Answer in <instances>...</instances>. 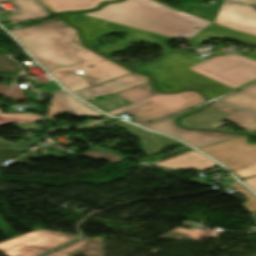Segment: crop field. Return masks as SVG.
Listing matches in <instances>:
<instances>
[{"mask_svg": "<svg viewBox=\"0 0 256 256\" xmlns=\"http://www.w3.org/2000/svg\"><path fill=\"white\" fill-rule=\"evenodd\" d=\"M244 3L256 6V0H245Z\"/></svg>", "mask_w": 256, "mask_h": 256, "instance_id": "d3111659", "label": "crop field"}, {"mask_svg": "<svg viewBox=\"0 0 256 256\" xmlns=\"http://www.w3.org/2000/svg\"><path fill=\"white\" fill-rule=\"evenodd\" d=\"M41 117L32 113L27 114H2L0 108V126L9 123H27V122H38Z\"/></svg>", "mask_w": 256, "mask_h": 256, "instance_id": "dafd665d", "label": "crop field"}, {"mask_svg": "<svg viewBox=\"0 0 256 256\" xmlns=\"http://www.w3.org/2000/svg\"><path fill=\"white\" fill-rule=\"evenodd\" d=\"M201 102L204 99L196 92L162 95L153 92L147 83L89 103L112 115L126 112L134 116L133 122L137 123L170 116Z\"/></svg>", "mask_w": 256, "mask_h": 256, "instance_id": "34b2d1b8", "label": "crop field"}, {"mask_svg": "<svg viewBox=\"0 0 256 256\" xmlns=\"http://www.w3.org/2000/svg\"><path fill=\"white\" fill-rule=\"evenodd\" d=\"M153 165L167 169L189 170L191 168H195L198 171H205L219 166L218 164L211 161L209 158L196 151L189 152L187 154L177 156L168 160H164Z\"/></svg>", "mask_w": 256, "mask_h": 256, "instance_id": "d9b57169", "label": "crop field"}, {"mask_svg": "<svg viewBox=\"0 0 256 256\" xmlns=\"http://www.w3.org/2000/svg\"><path fill=\"white\" fill-rule=\"evenodd\" d=\"M85 15L173 38L183 37L185 39L192 38L210 24L201 18L168 9L154 0H126Z\"/></svg>", "mask_w": 256, "mask_h": 256, "instance_id": "ac0d7876", "label": "crop field"}, {"mask_svg": "<svg viewBox=\"0 0 256 256\" xmlns=\"http://www.w3.org/2000/svg\"><path fill=\"white\" fill-rule=\"evenodd\" d=\"M51 12H65L73 10H89L96 8L101 2L112 0H39Z\"/></svg>", "mask_w": 256, "mask_h": 256, "instance_id": "4a817a6b", "label": "crop field"}, {"mask_svg": "<svg viewBox=\"0 0 256 256\" xmlns=\"http://www.w3.org/2000/svg\"><path fill=\"white\" fill-rule=\"evenodd\" d=\"M68 20L72 22L74 25L81 28L84 41L90 47H92L95 41L104 34L118 33V32L126 33L127 36L124 41L118 42L116 45L106 46L102 49L96 50L116 61L118 60L111 57L108 53L124 50V47H126L124 44L127 42L136 43L142 40L148 43L159 45L165 51V53L171 52L170 48L166 44L167 42L172 40L171 38L119 26L116 24H112V23L91 18V17L82 16L79 14L69 15ZM122 64L128 67H132L126 63H122Z\"/></svg>", "mask_w": 256, "mask_h": 256, "instance_id": "f4fd0767", "label": "crop field"}, {"mask_svg": "<svg viewBox=\"0 0 256 256\" xmlns=\"http://www.w3.org/2000/svg\"><path fill=\"white\" fill-rule=\"evenodd\" d=\"M111 121H114V120H112V119H103V120H97V121H86L82 125L74 127V128H71V129H68L66 131H70V130H73V129H76V128L84 130V129L91 128V127H94V126H97V125H101V124H104V123H107V122H111Z\"/></svg>", "mask_w": 256, "mask_h": 256, "instance_id": "4177f3b9", "label": "crop field"}, {"mask_svg": "<svg viewBox=\"0 0 256 256\" xmlns=\"http://www.w3.org/2000/svg\"><path fill=\"white\" fill-rule=\"evenodd\" d=\"M215 23L256 35V10L244 4L224 1Z\"/></svg>", "mask_w": 256, "mask_h": 256, "instance_id": "28ad6ade", "label": "crop field"}, {"mask_svg": "<svg viewBox=\"0 0 256 256\" xmlns=\"http://www.w3.org/2000/svg\"><path fill=\"white\" fill-rule=\"evenodd\" d=\"M90 149L91 151L85 152L84 154H82V156H85L94 160H104L112 163H120L125 158H127L125 156H122L110 151H106L95 146L91 147Z\"/></svg>", "mask_w": 256, "mask_h": 256, "instance_id": "92a150f3", "label": "crop field"}, {"mask_svg": "<svg viewBox=\"0 0 256 256\" xmlns=\"http://www.w3.org/2000/svg\"><path fill=\"white\" fill-rule=\"evenodd\" d=\"M77 237L79 236L37 230L12 240L0 242V252L7 256H37Z\"/></svg>", "mask_w": 256, "mask_h": 256, "instance_id": "5a996713", "label": "crop field"}, {"mask_svg": "<svg viewBox=\"0 0 256 256\" xmlns=\"http://www.w3.org/2000/svg\"><path fill=\"white\" fill-rule=\"evenodd\" d=\"M241 136L200 148L217 161L226 165L240 178L256 175V145Z\"/></svg>", "mask_w": 256, "mask_h": 256, "instance_id": "e52e79f7", "label": "crop field"}, {"mask_svg": "<svg viewBox=\"0 0 256 256\" xmlns=\"http://www.w3.org/2000/svg\"><path fill=\"white\" fill-rule=\"evenodd\" d=\"M234 187L236 192L248 199V201L244 204V207L247 208L250 213L256 212V197L239 183L235 184Z\"/></svg>", "mask_w": 256, "mask_h": 256, "instance_id": "00972430", "label": "crop field"}, {"mask_svg": "<svg viewBox=\"0 0 256 256\" xmlns=\"http://www.w3.org/2000/svg\"><path fill=\"white\" fill-rule=\"evenodd\" d=\"M66 112L74 116H102V114L64 91L53 94L49 104L47 118H52Z\"/></svg>", "mask_w": 256, "mask_h": 256, "instance_id": "cbeb9de0", "label": "crop field"}, {"mask_svg": "<svg viewBox=\"0 0 256 256\" xmlns=\"http://www.w3.org/2000/svg\"><path fill=\"white\" fill-rule=\"evenodd\" d=\"M196 108H200V106ZM174 117L157 121L154 123H145V124H142V126L174 136V137H178L197 148L239 136L235 134L216 133V132H209V131H186V130L180 129L178 126L174 124L173 122Z\"/></svg>", "mask_w": 256, "mask_h": 256, "instance_id": "3316defc", "label": "crop field"}, {"mask_svg": "<svg viewBox=\"0 0 256 256\" xmlns=\"http://www.w3.org/2000/svg\"><path fill=\"white\" fill-rule=\"evenodd\" d=\"M149 82L148 78L141 75L131 74L104 83L97 84L93 87L73 92L83 100L89 102L98 96L121 92L144 83Z\"/></svg>", "mask_w": 256, "mask_h": 256, "instance_id": "d1516ede", "label": "crop field"}, {"mask_svg": "<svg viewBox=\"0 0 256 256\" xmlns=\"http://www.w3.org/2000/svg\"><path fill=\"white\" fill-rule=\"evenodd\" d=\"M212 57L189 69L235 90L256 82V62L241 56Z\"/></svg>", "mask_w": 256, "mask_h": 256, "instance_id": "dd49c442", "label": "crop field"}, {"mask_svg": "<svg viewBox=\"0 0 256 256\" xmlns=\"http://www.w3.org/2000/svg\"><path fill=\"white\" fill-rule=\"evenodd\" d=\"M227 120L240 128L256 133V113L238 110L218 102H213L209 107L196 112L180 122L188 128H214L218 129Z\"/></svg>", "mask_w": 256, "mask_h": 256, "instance_id": "d8731c3e", "label": "crop field"}, {"mask_svg": "<svg viewBox=\"0 0 256 256\" xmlns=\"http://www.w3.org/2000/svg\"><path fill=\"white\" fill-rule=\"evenodd\" d=\"M8 0H0V2ZM20 12V15L11 16L12 21L34 19L48 16V12L38 0H11Z\"/></svg>", "mask_w": 256, "mask_h": 256, "instance_id": "bc2a9ffb", "label": "crop field"}, {"mask_svg": "<svg viewBox=\"0 0 256 256\" xmlns=\"http://www.w3.org/2000/svg\"><path fill=\"white\" fill-rule=\"evenodd\" d=\"M229 1H242L243 2L244 0H229Z\"/></svg>", "mask_w": 256, "mask_h": 256, "instance_id": "750c4746", "label": "crop field"}, {"mask_svg": "<svg viewBox=\"0 0 256 256\" xmlns=\"http://www.w3.org/2000/svg\"><path fill=\"white\" fill-rule=\"evenodd\" d=\"M220 100L237 108L256 111V84Z\"/></svg>", "mask_w": 256, "mask_h": 256, "instance_id": "214f88e0", "label": "crop field"}, {"mask_svg": "<svg viewBox=\"0 0 256 256\" xmlns=\"http://www.w3.org/2000/svg\"><path fill=\"white\" fill-rule=\"evenodd\" d=\"M210 38H221V39L234 40V41H238L243 44H247V45L256 47V36L237 32V31L231 30L229 28L215 24V23H212L211 25H209L207 28L202 30L200 33H198L196 36H194L189 41L196 48V47L200 46L202 41L210 39ZM246 57L256 60V50L247 53Z\"/></svg>", "mask_w": 256, "mask_h": 256, "instance_id": "22f410ed", "label": "crop field"}, {"mask_svg": "<svg viewBox=\"0 0 256 256\" xmlns=\"http://www.w3.org/2000/svg\"><path fill=\"white\" fill-rule=\"evenodd\" d=\"M10 32L71 92L131 74L81 45L76 30L62 21ZM76 69L84 70L95 83L79 78Z\"/></svg>", "mask_w": 256, "mask_h": 256, "instance_id": "8a807250", "label": "crop field"}, {"mask_svg": "<svg viewBox=\"0 0 256 256\" xmlns=\"http://www.w3.org/2000/svg\"><path fill=\"white\" fill-rule=\"evenodd\" d=\"M74 125H77V124L71 123V124H68V125L63 126V127H59V128H54V129L48 130L47 132L50 134V133H53V132L60 131V130H62L64 128L74 126Z\"/></svg>", "mask_w": 256, "mask_h": 256, "instance_id": "ae1a2a85", "label": "crop field"}, {"mask_svg": "<svg viewBox=\"0 0 256 256\" xmlns=\"http://www.w3.org/2000/svg\"><path fill=\"white\" fill-rule=\"evenodd\" d=\"M244 182H246L249 186H251L256 191V177L248 180H244Z\"/></svg>", "mask_w": 256, "mask_h": 256, "instance_id": "eef30255", "label": "crop field"}, {"mask_svg": "<svg viewBox=\"0 0 256 256\" xmlns=\"http://www.w3.org/2000/svg\"><path fill=\"white\" fill-rule=\"evenodd\" d=\"M103 245L100 238L79 240L46 256H102Z\"/></svg>", "mask_w": 256, "mask_h": 256, "instance_id": "733c2abd", "label": "crop field"}, {"mask_svg": "<svg viewBox=\"0 0 256 256\" xmlns=\"http://www.w3.org/2000/svg\"><path fill=\"white\" fill-rule=\"evenodd\" d=\"M0 143H3V144H7V145H10V144H13L11 142H8V141H4V140H1L0 139ZM30 145L28 142L24 141V140H21L20 142L8 147L9 149H12V150H16V151H20V152H23L27 149L30 148Z\"/></svg>", "mask_w": 256, "mask_h": 256, "instance_id": "a9b5d70f", "label": "crop field"}, {"mask_svg": "<svg viewBox=\"0 0 256 256\" xmlns=\"http://www.w3.org/2000/svg\"><path fill=\"white\" fill-rule=\"evenodd\" d=\"M18 129H30L37 128L36 123H27V124H16Z\"/></svg>", "mask_w": 256, "mask_h": 256, "instance_id": "730fd06b", "label": "crop field"}, {"mask_svg": "<svg viewBox=\"0 0 256 256\" xmlns=\"http://www.w3.org/2000/svg\"><path fill=\"white\" fill-rule=\"evenodd\" d=\"M184 54L176 51L160 57L159 62H150L135 70L152 75L159 91L172 92L195 87L201 89L209 99L234 91L187 69L207 59L187 53L184 56Z\"/></svg>", "mask_w": 256, "mask_h": 256, "instance_id": "412701ff", "label": "crop field"}, {"mask_svg": "<svg viewBox=\"0 0 256 256\" xmlns=\"http://www.w3.org/2000/svg\"><path fill=\"white\" fill-rule=\"evenodd\" d=\"M111 125L115 126V127L123 128V129L127 130L129 134H131V135L137 137L138 139H140L141 144L144 148V152L147 155L157 153L159 150H161L165 147L176 145V144H181L182 147L178 148L176 150H173V151H171V152H169L165 155H168V154H171L173 152L188 148L187 146L183 145L182 143H180L176 140H173V139H170V138H167V137H163V136H160V135H157V134L146 132V131H144L140 128H137L133 125L127 124V123L122 122V121L113 123ZM165 155H163V156H165Z\"/></svg>", "mask_w": 256, "mask_h": 256, "instance_id": "5142ce71", "label": "crop field"}]
</instances>
